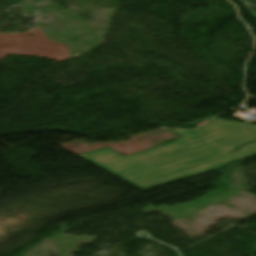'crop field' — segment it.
Returning <instances> with one entry per match:
<instances>
[{
    "instance_id": "crop-field-2",
    "label": "crop field",
    "mask_w": 256,
    "mask_h": 256,
    "mask_svg": "<svg viewBox=\"0 0 256 256\" xmlns=\"http://www.w3.org/2000/svg\"><path fill=\"white\" fill-rule=\"evenodd\" d=\"M245 7L255 16L256 18V0H241Z\"/></svg>"
},
{
    "instance_id": "crop-field-1",
    "label": "crop field",
    "mask_w": 256,
    "mask_h": 256,
    "mask_svg": "<svg viewBox=\"0 0 256 256\" xmlns=\"http://www.w3.org/2000/svg\"><path fill=\"white\" fill-rule=\"evenodd\" d=\"M173 129L182 136L173 143L125 157L106 147L79 156L145 191L215 170L256 154V125L215 119L198 129Z\"/></svg>"
}]
</instances>
